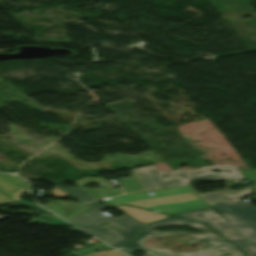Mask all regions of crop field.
I'll use <instances>...</instances> for the list:
<instances>
[{"mask_svg":"<svg viewBox=\"0 0 256 256\" xmlns=\"http://www.w3.org/2000/svg\"><path fill=\"white\" fill-rule=\"evenodd\" d=\"M251 192L250 188H244L243 190H227L200 196L256 247V207L241 200L243 196L250 195ZM236 202L240 204H230ZM247 253L248 256H256V251Z\"/></svg>","mask_w":256,"mask_h":256,"instance_id":"crop-field-3","label":"crop field"},{"mask_svg":"<svg viewBox=\"0 0 256 256\" xmlns=\"http://www.w3.org/2000/svg\"><path fill=\"white\" fill-rule=\"evenodd\" d=\"M200 213L204 214L201 216H197ZM175 216L207 223L208 226H210L232 244L240 248L243 252L256 250V248L252 244H250L235 228H233L222 216L216 213L211 207Z\"/></svg>","mask_w":256,"mask_h":256,"instance_id":"crop-field-6","label":"crop field"},{"mask_svg":"<svg viewBox=\"0 0 256 256\" xmlns=\"http://www.w3.org/2000/svg\"><path fill=\"white\" fill-rule=\"evenodd\" d=\"M89 256H126L116 250H104L99 253H94Z\"/></svg>","mask_w":256,"mask_h":256,"instance_id":"crop-field-13","label":"crop field"},{"mask_svg":"<svg viewBox=\"0 0 256 256\" xmlns=\"http://www.w3.org/2000/svg\"><path fill=\"white\" fill-rule=\"evenodd\" d=\"M81 204L90 208L91 210H88L67 220L97 237L98 239L106 241L108 244L114 247L133 237L138 229L145 224L135 220L116 207L88 203L99 210L104 207L116 208L123 213L121 218H114L112 216L107 217L86 203ZM107 221L110 223L104 225L103 227L100 226V224Z\"/></svg>","mask_w":256,"mask_h":256,"instance_id":"crop-field-2","label":"crop field"},{"mask_svg":"<svg viewBox=\"0 0 256 256\" xmlns=\"http://www.w3.org/2000/svg\"><path fill=\"white\" fill-rule=\"evenodd\" d=\"M148 192H153L150 196ZM113 205L128 204L169 215L210 206L188 186L147 191L105 199Z\"/></svg>","mask_w":256,"mask_h":256,"instance_id":"crop-field-1","label":"crop field"},{"mask_svg":"<svg viewBox=\"0 0 256 256\" xmlns=\"http://www.w3.org/2000/svg\"><path fill=\"white\" fill-rule=\"evenodd\" d=\"M157 225L159 226L185 225V226H189L196 229H202L206 233L202 235H195V234L185 233V232L157 233V232L149 231L150 228L155 227ZM142 229L154 237L183 233V234L192 236L193 238L196 239L194 241H190V243L197 242L202 239H207L210 242V244H212L211 246L198 250L197 252L178 253L181 256H227V255H222L225 252H231L233 256H242L241 252L237 248H235L230 243H228L227 241L219 237L217 234L211 231L208 227L200 223H196V222H192V221H188L180 218H167L165 220L147 224ZM230 246H232V248H230ZM220 249H224V250L220 252L219 251Z\"/></svg>","mask_w":256,"mask_h":256,"instance_id":"crop-field-5","label":"crop field"},{"mask_svg":"<svg viewBox=\"0 0 256 256\" xmlns=\"http://www.w3.org/2000/svg\"><path fill=\"white\" fill-rule=\"evenodd\" d=\"M11 49L0 50V52H11Z\"/></svg>","mask_w":256,"mask_h":256,"instance_id":"crop-field-17","label":"crop field"},{"mask_svg":"<svg viewBox=\"0 0 256 256\" xmlns=\"http://www.w3.org/2000/svg\"><path fill=\"white\" fill-rule=\"evenodd\" d=\"M213 169L223 170L221 173L210 172ZM230 170L231 173H225ZM144 190L191 183L194 180H235L244 179L239 167L233 165H216L200 167V170H174L171 172L159 171L156 166H145L133 169ZM162 175H168L170 178L163 179Z\"/></svg>","mask_w":256,"mask_h":256,"instance_id":"crop-field-4","label":"crop field"},{"mask_svg":"<svg viewBox=\"0 0 256 256\" xmlns=\"http://www.w3.org/2000/svg\"><path fill=\"white\" fill-rule=\"evenodd\" d=\"M7 218L6 216H0V219Z\"/></svg>","mask_w":256,"mask_h":256,"instance_id":"crop-field-19","label":"crop field"},{"mask_svg":"<svg viewBox=\"0 0 256 256\" xmlns=\"http://www.w3.org/2000/svg\"><path fill=\"white\" fill-rule=\"evenodd\" d=\"M118 208H120L124 212L128 213L132 217H134L140 221L146 222V223L167 217L165 215H161L158 213L145 211V210L137 209V208H131V207H127V206H118Z\"/></svg>","mask_w":256,"mask_h":256,"instance_id":"crop-field-9","label":"crop field"},{"mask_svg":"<svg viewBox=\"0 0 256 256\" xmlns=\"http://www.w3.org/2000/svg\"><path fill=\"white\" fill-rule=\"evenodd\" d=\"M0 191L13 200L20 199L22 193L27 192L24 188L0 177Z\"/></svg>","mask_w":256,"mask_h":256,"instance_id":"crop-field-10","label":"crop field"},{"mask_svg":"<svg viewBox=\"0 0 256 256\" xmlns=\"http://www.w3.org/2000/svg\"><path fill=\"white\" fill-rule=\"evenodd\" d=\"M52 195H54V196H68V195H66L65 193L61 192L60 190H58L55 187L53 188Z\"/></svg>","mask_w":256,"mask_h":256,"instance_id":"crop-field-15","label":"crop field"},{"mask_svg":"<svg viewBox=\"0 0 256 256\" xmlns=\"http://www.w3.org/2000/svg\"><path fill=\"white\" fill-rule=\"evenodd\" d=\"M46 201L49 203L43 205V207H47L48 209H50L54 213H57L58 215L62 216L65 219L88 210L86 207L77 202L52 200Z\"/></svg>","mask_w":256,"mask_h":256,"instance_id":"crop-field-8","label":"crop field"},{"mask_svg":"<svg viewBox=\"0 0 256 256\" xmlns=\"http://www.w3.org/2000/svg\"><path fill=\"white\" fill-rule=\"evenodd\" d=\"M58 189L62 190L66 194H68L71 197H75L76 199L84 200V201H95L98 200L95 197L91 196L84 190L80 189L79 187L72 188V187H65V186H58L54 185Z\"/></svg>","mask_w":256,"mask_h":256,"instance_id":"crop-field-11","label":"crop field"},{"mask_svg":"<svg viewBox=\"0 0 256 256\" xmlns=\"http://www.w3.org/2000/svg\"><path fill=\"white\" fill-rule=\"evenodd\" d=\"M101 248L103 249H108V248H111L109 247L108 245L104 244V243H101V244H98V245H95V246H92V247H88L86 249H83V251L91 254V253H94V251L96 250H100Z\"/></svg>","mask_w":256,"mask_h":256,"instance_id":"crop-field-14","label":"crop field"},{"mask_svg":"<svg viewBox=\"0 0 256 256\" xmlns=\"http://www.w3.org/2000/svg\"><path fill=\"white\" fill-rule=\"evenodd\" d=\"M0 168H1V166H0Z\"/></svg>","mask_w":256,"mask_h":256,"instance_id":"crop-field-20","label":"crop field"},{"mask_svg":"<svg viewBox=\"0 0 256 256\" xmlns=\"http://www.w3.org/2000/svg\"><path fill=\"white\" fill-rule=\"evenodd\" d=\"M12 200L3 196L2 194H0V204L2 203H6V202H11Z\"/></svg>","mask_w":256,"mask_h":256,"instance_id":"crop-field-16","label":"crop field"},{"mask_svg":"<svg viewBox=\"0 0 256 256\" xmlns=\"http://www.w3.org/2000/svg\"><path fill=\"white\" fill-rule=\"evenodd\" d=\"M0 175L5 177V178H7V179H9V180H11L12 182H14V183L24 187L25 189L28 188L27 184L23 180L18 178V177H15V176H13L11 174H2V173H0Z\"/></svg>","mask_w":256,"mask_h":256,"instance_id":"crop-field-12","label":"crop field"},{"mask_svg":"<svg viewBox=\"0 0 256 256\" xmlns=\"http://www.w3.org/2000/svg\"><path fill=\"white\" fill-rule=\"evenodd\" d=\"M101 202L104 203V204H107V205H111V204H109L108 202H106L104 200H101Z\"/></svg>","mask_w":256,"mask_h":256,"instance_id":"crop-field-18","label":"crop field"},{"mask_svg":"<svg viewBox=\"0 0 256 256\" xmlns=\"http://www.w3.org/2000/svg\"><path fill=\"white\" fill-rule=\"evenodd\" d=\"M147 236H149V234L141 229L134 239L130 240L129 242L125 243L117 249L129 254L130 256L132 255L134 250H142L153 256H179L176 253H171L168 250H154L144 248L142 245V240Z\"/></svg>","mask_w":256,"mask_h":256,"instance_id":"crop-field-7","label":"crop field"}]
</instances>
